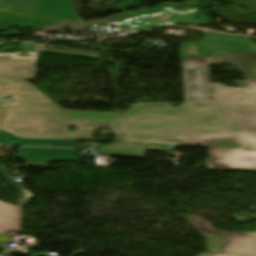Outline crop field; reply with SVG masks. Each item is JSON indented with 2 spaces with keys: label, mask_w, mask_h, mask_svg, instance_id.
I'll return each instance as SVG.
<instances>
[{
  "label": "crop field",
  "mask_w": 256,
  "mask_h": 256,
  "mask_svg": "<svg viewBox=\"0 0 256 256\" xmlns=\"http://www.w3.org/2000/svg\"><path fill=\"white\" fill-rule=\"evenodd\" d=\"M0 12L48 23L79 17L73 0H0Z\"/></svg>",
  "instance_id": "3"
},
{
  "label": "crop field",
  "mask_w": 256,
  "mask_h": 256,
  "mask_svg": "<svg viewBox=\"0 0 256 256\" xmlns=\"http://www.w3.org/2000/svg\"><path fill=\"white\" fill-rule=\"evenodd\" d=\"M216 147L231 148V149H245L237 136L218 138Z\"/></svg>",
  "instance_id": "13"
},
{
  "label": "crop field",
  "mask_w": 256,
  "mask_h": 256,
  "mask_svg": "<svg viewBox=\"0 0 256 256\" xmlns=\"http://www.w3.org/2000/svg\"><path fill=\"white\" fill-rule=\"evenodd\" d=\"M202 256H238V255H228V254H212V255H207V254H204Z\"/></svg>",
  "instance_id": "20"
},
{
  "label": "crop field",
  "mask_w": 256,
  "mask_h": 256,
  "mask_svg": "<svg viewBox=\"0 0 256 256\" xmlns=\"http://www.w3.org/2000/svg\"><path fill=\"white\" fill-rule=\"evenodd\" d=\"M217 138L198 139V145L215 147Z\"/></svg>",
  "instance_id": "17"
},
{
  "label": "crop field",
  "mask_w": 256,
  "mask_h": 256,
  "mask_svg": "<svg viewBox=\"0 0 256 256\" xmlns=\"http://www.w3.org/2000/svg\"><path fill=\"white\" fill-rule=\"evenodd\" d=\"M8 21H17V22H22V23H27V24L37 25V26L48 25V23H43V22H39V21L29 20V19H25V18H21V17H16V16L0 13V29L3 25V23L8 22Z\"/></svg>",
  "instance_id": "14"
},
{
  "label": "crop field",
  "mask_w": 256,
  "mask_h": 256,
  "mask_svg": "<svg viewBox=\"0 0 256 256\" xmlns=\"http://www.w3.org/2000/svg\"><path fill=\"white\" fill-rule=\"evenodd\" d=\"M103 124L118 141L197 145V138L235 135L213 104H183L181 109L137 104L122 116L65 111L54 103L12 107L0 130L18 138L88 140L91 131ZM70 125L77 130L68 134Z\"/></svg>",
  "instance_id": "1"
},
{
  "label": "crop field",
  "mask_w": 256,
  "mask_h": 256,
  "mask_svg": "<svg viewBox=\"0 0 256 256\" xmlns=\"http://www.w3.org/2000/svg\"><path fill=\"white\" fill-rule=\"evenodd\" d=\"M180 44L185 103H213L247 150L256 151V46L245 38L204 32ZM208 64H233L246 81L210 84Z\"/></svg>",
  "instance_id": "2"
},
{
  "label": "crop field",
  "mask_w": 256,
  "mask_h": 256,
  "mask_svg": "<svg viewBox=\"0 0 256 256\" xmlns=\"http://www.w3.org/2000/svg\"><path fill=\"white\" fill-rule=\"evenodd\" d=\"M183 217L191 224V226L198 233L256 239V232L255 233L253 232L229 233V232L216 231L206 219L199 218L196 216H183Z\"/></svg>",
  "instance_id": "11"
},
{
  "label": "crop field",
  "mask_w": 256,
  "mask_h": 256,
  "mask_svg": "<svg viewBox=\"0 0 256 256\" xmlns=\"http://www.w3.org/2000/svg\"><path fill=\"white\" fill-rule=\"evenodd\" d=\"M41 51L99 58V55L41 48Z\"/></svg>",
  "instance_id": "16"
},
{
  "label": "crop field",
  "mask_w": 256,
  "mask_h": 256,
  "mask_svg": "<svg viewBox=\"0 0 256 256\" xmlns=\"http://www.w3.org/2000/svg\"><path fill=\"white\" fill-rule=\"evenodd\" d=\"M0 58L5 60L12 68H14L27 80L35 78L38 66V63H36L37 58H18L15 54H0Z\"/></svg>",
  "instance_id": "10"
},
{
  "label": "crop field",
  "mask_w": 256,
  "mask_h": 256,
  "mask_svg": "<svg viewBox=\"0 0 256 256\" xmlns=\"http://www.w3.org/2000/svg\"><path fill=\"white\" fill-rule=\"evenodd\" d=\"M8 103H9V101L0 99V122L2 120V117L4 115V112H5V109H6V106L8 105Z\"/></svg>",
  "instance_id": "19"
},
{
  "label": "crop field",
  "mask_w": 256,
  "mask_h": 256,
  "mask_svg": "<svg viewBox=\"0 0 256 256\" xmlns=\"http://www.w3.org/2000/svg\"><path fill=\"white\" fill-rule=\"evenodd\" d=\"M34 195L30 194L0 169V200L22 206Z\"/></svg>",
  "instance_id": "7"
},
{
  "label": "crop field",
  "mask_w": 256,
  "mask_h": 256,
  "mask_svg": "<svg viewBox=\"0 0 256 256\" xmlns=\"http://www.w3.org/2000/svg\"><path fill=\"white\" fill-rule=\"evenodd\" d=\"M223 253L256 256V240L229 237Z\"/></svg>",
  "instance_id": "12"
},
{
  "label": "crop field",
  "mask_w": 256,
  "mask_h": 256,
  "mask_svg": "<svg viewBox=\"0 0 256 256\" xmlns=\"http://www.w3.org/2000/svg\"><path fill=\"white\" fill-rule=\"evenodd\" d=\"M18 157L27 162L75 161L76 149L22 148Z\"/></svg>",
  "instance_id": "6"
},
{
  "label": "crop field",
  "mask_w": 256,
  "mask_h": 256,
  "mask_svg": "<svg viewBox=\"0 0 256 256\" xmlns=\"http://www.w3.org/2000/svg\"><path fill=\"white\" fill-rule=\"evenodd\" d=\"M1 232H22V208L0 202Z\"/></svg>",
  "instance_id": "8"
},
{
  "label": "crop field",
  "mask_w": 256,
  "mask_h": 256,
  "mask_svg": "<svg viewBox=\"0 0 256 256\" xmlns=\"http://www.w3.org/2000/svg\"><path fill=\"white\" fill-rule=\"evenodd\" d=\"M7 95L15 99L9 107L52 102L30 82L0 76V98Z\"/></svg>",
  "instance_id": "4"
},
{
  "label": "crop field",
  "mask_w": 256,
  "mask_h": 256,
  "mask_svg": "<svg viewBox=\"0 0 256 256\" xmlns=\"http://www.w3.org/2000/svg\"><path fill=\"white\" fill-rule=\"evenodd\" d=\"M0 75L26 80L21 75H19L15 70H13L5 61L1 59H0Z\"/></svg>",
  "instance_id": "15"
},
{
  "label": "crop field",
  "mask_w": 256,
  "mask_h": 256,
  "mask_svg": "<svg viewBox=\"0 0 256 256\" xmlns=\"http://www.w3.org/2000/svg\"><path fill=\"white\" fill-rule=\"evenodd\" d=\"M0 143L15 146H59L74 147L73 140L17 139L0 131Z\"/></svg>",
  "instance_id": "9"
},
{
  "label": "crop field",
  "mask_w": 256,
  "mask_h": 256,
  "mask_svg": "<svg viewBox=\"0 0 256 256\" xmlns=\"http://www.w3.org/2000/svg\"><path fill=\"white\" fill-rule=\"evenodd\" d=\"M207 166L211 169L256 170V152L214 148L209 151Z\"/></svg>",
  "instance_id": "5"
},
{
  "label": "crop field",
  "mask_w": 256,
  "mask_h": 256,
  "mask_svg": "<svg viewBox=\"0 0 256 256\" xmlns=\"http://www.w3.org/2000/svg\"><path fill=\"white\" fill-rule=\"evenodd\" d=\"M10 233H1L0 234V244L6 243H15V240L9 238Z\"/></svg>",
  "instance_id": "18"
}]
</instances>
